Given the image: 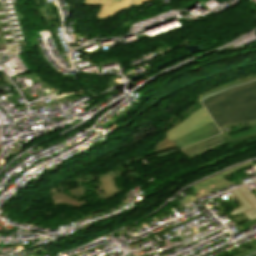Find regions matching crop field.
<instances>
[{
	"instance_id": "crop-field-10",
	"label": "crop field",
	"mask_w": 256,
	"mask_h": 256,
	"mask_svg": "<svg viewBox=\"0 0 256 256\" xmlns=\"http://www.w3.org/2000/svg\"><path fill=\"white\" fill-rule=\"evenodd\" d=\"M254 148H256V145H254V146H252V147H249V148H247V149L241 150V151H239V152H236V153H233V154H230V155H226V156L220 158L219 160L216 159V160H214L213 162L207 163V164H205V165H203V166H201V167H204V166L208 167V166H210V165H212V164H215V163H217V162H219V161H221V160H223V159H225V158H227V157H230V156H233V155H235V154H238V153H241V152H244V151H247V150H251V149H254ZM198 168H200V167H198Z\"/></svg>"
},
{
	"instance_id": "crop-field-1",
	"label": "crop field",
	"mask_w": 256,
	"mask_h": 256,
	"mask_svg": "<svg viewBox=\"0 0 256 256\" xmlns=\"http://www.w3.org/2000/svg\"><path fill=\"white\" fill-rule=\"evenodd\" d=\"M202 103L219 128L254 123L256 81L206 98Z\"/></svg>"
},
{
	"instance_id": "crop-field-7",
	"label": "crop field",
	"mask_w": 256,
	"mask_h": 256,
	"mask_svg": "<svg viewBox=\"0 0 256 256\" xmlns=\"http://www.w3.org/2000/svg\"><path fill=\"white\" fill-rule=\"evenodd\" d=\"M254 135H256V134H254ZM254 135H251V136H254ZM251 136L235 139L232 141L243 140V139L249 138ZM228 142H231V141H228ZM225 143H227V142H225ZM221 144H224V143H223L222 135L220 134L216 137H213L208 140L202 141L200 143L194 144V145L184 148L180 151L186 153L188 156V159H190V158H193V157H195V156H197V155H199L217 145H221Z\"/></svg>"
},
{
	"instance_id": "crop-field-6",
	"label": "crop field",
	"mask_w": 256,
	"mask_h": 256,
	"mask_svg": "<svg viewBox=\"0 0 256 256\" xmlns=\"http://www.w3.org/2000/svg\"><path fill=\"white\" fill-rule=\"evenodd\" d=\"M218 134H220V131L216 127L215 123L212 122V123H209V124L199 128L185 136H182V137L174 140V142L179 147V149H181L185 146L196 143L203 139L213 137Z\"/></svg>"
},
{
	"instance_id": "crop-field-8",
	"label": "crop field",
	"mask_w": 256,
	"mask_h": 256,
	"mask_svg": "<svg viewBox=\"0 0 256 256\" xmlns=\"http://www.w3.org/2000/svg\"><path fill=\"white\" fill-rule=\"evenodd\" d=\"M253 79H256V76H252V77H249V78H246V79H243V80H239V81H236V82H233V83H230V84L221 86V87L216 88V89H214V90H212V91H210V92H208V93L203 94V95L200 97V100H201L202 98H204V97L213 95V94H215V93H218V92H220V91H222V90L228 89V88L233 87V86H235V85L247 83V82H249V81H251V80H253Z\"/></svg>"
},
{
	"instance_id": "crop-field-11",
	"label": "crop field",
	"mask_w": 256,
	"mask_h": 256,
	"mask_svg": "<svg viewBox=\"0 0 256 256\" xmlns=\"http://www.w3.org/2000/svg\"><path fill=\"white\" fill-rule=\"evenodd\" d=\"M146 1H149V0H133L132 6H133V5H140V4H143V3L146 2Z\"/></svg>"
},
{
	"instance_id": "crop-field-3",
	"label": "crop field",
	"mask_w": 256,
	"mask_h": 256,
	"mask_svg": "<svg viewBox=\"0 0 256 256\" xmlns=\"http://www.w3.org/2000/svg\"><path fill=\"white\" fill-rule=\"evenodd\" d=\"M209 122H212V120L206 110L202 107L175 128L165 133V135L172 141L173 139L185 135Z\"/></svg>"
},
{
	"instance_id": "crop-field-9",
	"label": "crop field",
	"mask_w": 256,
	"mask_h": 256,
	"mask_svg": "<svg viewBox=\"0 0 256 256\" xmlns=\"http://www.w3.org/2000/svg\"><path fill=\"white\" fill-rule=\"evenodd\" d=\"M175 146L176 145L174 144L173 141L171 142L168 138H165L164 140H162L160 143L157 144V146L154 150V153H157L161 150H165V149L172 148Z\"/></svg>"
},
{
	"instance_id": "crop-field-2",
	"label": "crop field",
	"mask_w": 256,
	"mask_h": 256,
	"mask_svg": "<svg viewBox=\"0 0 256 256\" xmlns=\"http://www.w3.org/2000/svg\"><path fill=\"white\" fill-rule=\"evenodd\" d=\"M126 165L131 174L134 176L136 180H141L142 178L133 170L132 166L126 161L120 164L118 167L90 180H84L82 178L75 181L78 185L67 187V186H59L51 191H49L52 195L54 204H72L75 207L81 206L83 204L87 205L86 198L84 196L83 185L90 184L94 185L97 188L100 200H105L111 196L119 194L121 191L114 177L123 173L121 166Z\"/></svg>"
},
{
	"instance_id": "crop-field-5",
	"label": "crop field",
	"mask_w": 256,
	"mask_h": 256,
	"mask_svg": "<svg viewBox=\"0 0 256 256\" xmlns=\"http://www.w3.org/2000/svg\"><path fill=\"white\" fill-rule=\"evenodd\" d=\"M86 6H100L97 18L104 19L114 15L117 11L127 8L130 0H84Z\"/></svg>"
},
{
	"instance_id": "crop-field-4",
	"label": "crop field",
	"mask_w": 256,
	"mask_h": 256,
	"mask_svg": "<svg viewBox=\"0 0 256 256\" xmlns=\"http://www.w3.org/2000/svg\"><path fill=\"white\" fill-rule=\"evenodd\" d=\"M256 183V181H255ZM235 198L241 203L242 206L233 209L229 214L231 216L244 212L249 220L256 218V193L255 191H247L244 186L235 191H232Z\"/></svg>"
}]
</instances>
